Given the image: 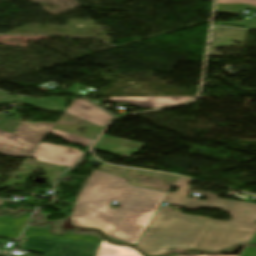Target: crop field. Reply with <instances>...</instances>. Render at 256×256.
Here are the masks:
<instances>
[{"label": "crop field", "mask_w": 256, "mask_h": 256, "mask_svg": "<svg viewBox=\"0 0 256 256\" xmlns=\"http://www.w3.org/2000/svg\"><path fill=\"white\" fill-rule=\"evenodd\" d=\"M3 202H4L3 200H0V205H1Z\"/></svg>", "instance_id": "22"}, {"label": "crop field", "mask_w": 256, "mask_h": 256, "mask_svg": "<svg viewBox=\"0 0 256 256\" xmlns=\"http://www.w3.org/2000/svg\"><path fill=\"white\" fill-rule=\"evenodd\" d=\"M193 97H109L103 100L91 101H115L126 102L138 107L160 108L177 105L191 100Z\"/></svg>", "instance_id": "8"}, {"label": "crop field", "mask_w": 256, "mask_h": 256, "mask_svg": "<svg viewBox=\"0 0 256 256\" xmlns=\"http://www.w3.org/2000/svg\"><path fill=\"white\" fill-rule=\"evenodd\" d=\"M20 249L43 256H96L100 243L21 236Z\"/></svg>", "instance_id": "4"}, {"label": "crop field", "mask_w": 256, "mask_h": 256, "mask_svg": "<svg viewBox=\"0 0 256 256\" xmlns=\"http://www.w3.org/2000/svg\"><path fill=\"white\" fill-rule=\"evenodd\" d=\"M84 87V85H80L78 83H74L72 84L69 89L67 90V92H71V93H75V94H78L81 89Z\"/></svg>", "instance_id": "18"}, {"label": "crop field", "mask_w": 256, "mask_h": 256, "mask_svg": "<svg viewBox=\"0 0 256 256\" xmlns=\"http://www.w3.org/2000/svg\"><path fill=\"white\" fill-rule=\"evenodd\" d=\"M64 107H65V99L49 97V98L39 99V101L37 102L34 108L64 113L67 110V109H64Z\"/></svg>", "instance_id": "15"}, {"label": "crop field", "mask_w": 256, "mask_h": 256, "mask_svg": "<svg viewBox=\"0 0 256 256\" xmlns=\"http://www.w3.org/2000/svg\"><path fill=\"white\" fill-rule=\"evenodd\" d=\"M208 200L188 198L184 209L215 208L228 213L232 220L217 221L206 217L184 215L178 210L160 206L137 247L149 256L166 254L170 248L219 252L246 244L256 232V204L218 199L215 194L196 192Z\"/></svg>", "instance_id": "1"}, {"label": "crop field", "mask_w": 256, "mask_h": 256, "mask_svg": "<svg viewBox=\"0 0 256 256\" xmlns=\"http://www.w3.org/2000/svg\"><path fill=\"white\" fill-rule=\"evenodd\" d=\"M54 125L21 122L13 134L0 130V152L11 156H29Z\"/></svg>", "instance_id": "3"}, {"label": "crop field", "mask_w": 256, "mask_h": 256, "mask_svg": "<svg viewBox=\"0 0 256 256\" xmlns=\"http://www.w3.org/2000/svg\"><path fill=\"white\" fill-rule=\"evenodd\" d=\"M166 195L94 170L77 198L71 224L98 228L112 239L136 245ZM113 200L119 201V209L109 208Z\"/></svg>", "instance_id": "2"}, {"label": "crop field", "mask_w": 256, "mask_h": 256, "mask_svg": "<svg viewBox=\"0 0 256 256\" xmlns=\"http://www.w3.org/2000/svg\"><path fill=\"white\" fill-rule=\"evenodd\" d=\"M216 25H231L243 28H256V19H246L245 22H221Z\"/></svg>", "instance_id": "17"}, {"label": "crop field", "mask_w": 256, "mask_h": 256, "mask_svg": "<svg viewBox=\"0 0 256 256\" xmlns=\"http://www.w3.org/2000/svg\"><path fill=\"white\" fill-rule=\"evenodd\" d=\"M22 102L24 104H28L32 107H34V105L36 104V102L38 101V99H35V98H26V97H22Z\"/></svg>", "instance_id": "20"}, {"label": "crop field", "mask_w": 256, "mask_h": 256, "mask_svg": "<svg viewBox=\"0 0 256 256\" xmlns=\"http://www.w3.org/2000/svg\"><path fill=\"white\" fill-rule=\"evenodd\" d=\"M97 256H143L135 249L116 246L108 242H101Z\"/></svg>", "instance_id": "13"}, {"label": "crop field", "mask_w": 256, "mask_h": 256, "mask_svg": "<svg viewBox=\"0 0 256 256\" xmlns=\"http://www.w3.org/2000/svg\"><path fill=\"white\" fill-rule=\"evenodd\" d=\"M144 145V143L140 142L103 135L96 144L95 149L130 158L139 152Z\"/></svg>", "instance_id": "7"}, {"label": "crop field", "mask_w": 256, "mask_h": 256, "mask_svg": "<svg viewBox=\"0 0 256 256\" xmlns=\"http://www.w3.org/2000/svg\"><path fill=\"white\" fill-rule=\"evenodd\" d=\"M30 216L14 220L8 216L0 217V236L17 238Z\"/></svg>", "instance_id": "9"}, {"label": "crop field", "mask_w": 256, "mask_h": 256, "mask_svg": "<svg viewBox=\"0 0 256 256\" xmlns=\"http://www.w3.org/2000/svg\"><path fill=\"white\" fill-rule=\"evenodd\" d=\"M241 256H256V247H247Z\"/></svg>", "instance_id": "19"}, {"label": "crop field", "mask_w": 256, "mask_h": 256, "mask_svg": "<svg viewBox=\"0 0 256 256\" xmlns=\"http://www.w3.org/2000/svg\"><path fill=\"white\" fill-rule=\"evenodd\" d=\"M250 245H256V235L254 236V238L252 239L251 241V244Z\"/></svg>", "instance_id": "21"}, {"label": "crop field", "mask_w": 256, "mask_h": 256, "mask_svg": "<svg viewBox=\"0 0 256 256\" xmlns=\"http://www.w3.org/2000/svg\"><path fill=\"white\" fill-rule=\"evenodd\" d=\"M77 118L83 119L103 128L110 122L114 116L110 115L101 108L85 101L75 99L72 105L65 112Z\"/></svg>", "instance_id": "6"}, {"label": "crop field", "mask_w": 256, "mask_h": 256, "mask_svg": "<svg viewBox=\"0 0 256 256\" xmlns=\"http://www.w3.org/2000/svg\"><path fill=\"white\" fill-rule=\"evenodd\" d=\"M209 1H213V0H209Z\"/></svg>", "instance_id": "23"}, {"label": "crop field", "mask_w": 256, "mask_h": 256, "mask_svg": "<svg viewBox=\"0 0 256 256\" xmlns=\"http://www.w3.org/2000/svg\"><path fill=\"white\" fill-rule=\"evenodd\" d=\"M190 179L179 177L174 183V187L179 188L177 192L169 193L164 202L173 203L175 205H183V202L189 191L188 182Z\"/></svg>", "instance_id": "14"}, {"label": "crop field", "mask_w": 256, "mask_h": 256, "mask_svg": "<svg viewBox=\"0 0 256 256\" xmlns=\"http://www.w3.org/2000/svg\"><path fill=\"white\" fill-rule=\"evenodd\" d=\"M85 154L75 148L40 143L30 157L51 164L72 167Z\"/></svg>", "instance_id": "5"}, {"label": "crop field", "mask_w": 256, "mask_h": 256, "mask_svg": "<svg viewBox=\"0 0 256 256\" xmlns=\"http://www.w3.org/2000/svg\"><path fill=\"white\" fill-rule=\"evenodd\" d=\"M23 235L36 236V237H38V235H40L41 237H47V238H58V239H70V240L100 242L98 237L76 236L73 233H66V234L61 235V236H52L49 233V229H34L32 227H27V229H25Z\"/></svg>", "instance_id": "12"}, {"label": "crop field", "mask_w": 256, "mask_h": 256, "mask_svg": "<svg viewBox=\"0 0 256 256\" xmlns=\"http://www.w3.org/2000/svg\"><path fill=\"white\" fill-rule=\"evenodd\" d=\"M50 134L61 136L67 141H70V142H73V143H76V144H80V145H84V146H88V147H90L91 143L94 141L92 139L83 138V137H80V136H76V135H73V134L61 132V131L54 130V129H52Z\"/></svg>", "instance_id": "16"}, {"label": "crop field", "mask_w": 256, "mask_h": 256, "mask_svg": "<svg viewBox=\"0 0 256 256\" xmlns=\"http://www.w3.org/2000/svg\"><path fill=\"white\" fill-rule=\"evenodd\" d=\"M14 103L20 102L18 95L10 96L2 91H0V104L1 103ZM6 115L0 113V129L13 133L19 123L22 121L23 115L16 114L10 118H6Z\"/></svg>", "instance_id": "10"}, {"label": "crop field", "mask_w": 256, "mask_h": 256, "mask_svg": "<svg viewBox=\"0 0 256 256\" xmlns=\"http://www.w3.org/2000/svg\"><path fill=\"white\" fill-rule=\"evenodd\" d=\"M244 4L256 10V0H218L216 12L236 15Z\"/></svg>", "instance_id": "11"}]
</instances>
